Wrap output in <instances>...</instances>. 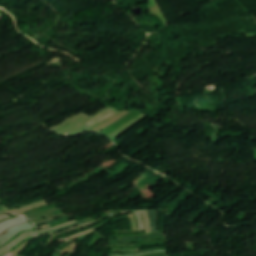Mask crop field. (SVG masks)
<instances>
[{
    "instance_id": "412701ff",
    "label": "crop field",
    "mask_w": 256,
    "mask_h": 256,
    "mask_svg": "<svg viewBox=\"0 0 256 256\" xmlns=\"http://www.w3.org/2000/svg\"><path fill=\"white\" fill-rule=\"evenodd\" d=\"M112 252H137L136 249H115Z\"/></svg>"
},
{
    "instance_id": "e52e79f7",
    "label": "crop field",
    "mask_w": 256,
    "mask_h": 256,
    "mask_svg": "<svg viewBox=\"0 0 256 256\" xmlns=\"http://www.w3.org/2000/svg\"><path fill=\"white\" fill-rule=\"evenodd\" d=\"M8 208L6 207V206H4V205H2V206H0V212H3V211H5V210H7Z\"/></svg>"
},
{
    "instance_id": "ac0d7876",
    "label": "crop field",
    "mask_w": 256,
    "mask_h": 256,
    "mask_svg": "<svg viewBox=\"0 0 256 256\" xmlns=\"http://www.w3.org/2000/svg\"><path fill=\"white\" fill-rule=\"evenodd\" d=\"M150 213V232H157V212Z\"/></svg>"
},
{
    "instance_id": "8a807250",
    "label": "crop field",
    "mask_w": 256,
    "mask_h": 256,
    "mask_svg": "<svg viewBox=\"0 0 256 256\" xmlns=\"http://www.w3.org/2000/svg\"><path fill=\"white\" fill-rule=\"evenodd\" d=\"M119 112L120 111H118V110L112 109V110L102 114L101 116L93 119L92 121L88 122L87 124L88 125H93V124H95L97 122H100V121H103V120H105V119H107V118H109V117H111V116H113V115H115V114H117Z\"/></svg>"
},
{
    "instance_id": "f4fd0767",
    "label": "crop field",
    "mask_w": 256,
    "mask_h": 256,
    "mask_svg": "<svg viewBox=\"0 0 256 256\" xmlns=\"http://www.w3.org/2000/svg\"><path fill=\"white\" fill-rule=\"evenodd\" d=\"M62 215H65V214L57 215V216H54V217H58V216H62ZM54 217L47 218V219H43V220H38V221H36V222H33V224H36V223H39V222H43V221H47V220H50V219H52V218H54Z\"/></svg>"
},
{
    "instance_id": "34b2d1b8",
    "label": "crop field",
    "mask_w": 256,
    "mask_h": 256,
    "mask_svg": "<svg viewBox=\"0 0 256 256\" xmlns=\"http://www.w3.org/2000/svg\"><path fill=\"white\" fill-rule=\"evenodd\" d=\"M90 220H92V219H86V220L80 221V222H78V223H76V224H73V225H71V226H68V227H66V228H63V229H61V230L68 229V228H70V227H72V226H75V225H78V224H84V223H86V222H88V221H90ZM61 230H57V231H61ZM57 231H52V232H57ZM52 232L41 233V234H39V235L47 234V233H52Z\"/></svg>"
},
{
    "instance_id": "dd49c442",
    "label": "crop field",
    "mask_w": 256,
    "mask_h": 256,
    "mask_svg": "<svg viewBox=\"0 0 256 256\" xmlns=\"http://www.w3.org/2000/svg\"><path fill=\"white\" fill-rule=\"evenodd\" d=\"M150 236H163V235H150ZM144 237H148V236H144ZM141 238V237H139ZM121 239H132V238H119V239H111V240H121Z\"/></svg>"
}]
</instances>
